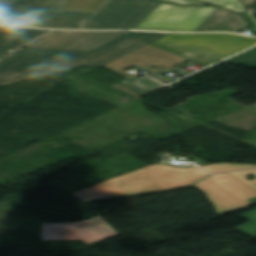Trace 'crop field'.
I'll use <instances>...</instances> for the list:
<instances>
[{"mask_svg":"<svg viewBox=\"0 0 256 256\" xmlns=\"http://www.w3.org/2000/svg\"><path fill=\"white\" fill-rule=\"evenodd\" d=\"M219 7L238 11L240 13L246 11V9L239 3L238 0H200Z\"/></svg>","mask_w":256,"mask_h":256,"instance_id":"d9b57169","label":"crop field"},{"mask_svg":"<svg viewBox=\"0 0 256 256\" xmlns=\"http://www.w3.org/2000/svg\"><path fill=\"white\" fill-rule=\"evenodd\" d=\"M73 0H46L12 25L57 29H134L161 2L107 0L95 13L64 11Z\"/></svg>","mask_w":256,"mask_h":256,"instance_id":"ac0d7876","label":"crop field"},{"mask_svg":"<svg viewBox=\"0 0 256 256\" xmlns=\"http://www.w3.org/2000/svg\"><path fill=\"white\" fill-rule=\"evenodd\" d=\"M240 217L247 219L251 222H249L237 229L256 237V210H253V211H251L247 214H244Z\"/></svg>","mask_w":256,"mask_h":256,"instance_id":"733c2abd","label":"crop field"},{"mask_svg":"<svg viewBox=\"0 0 256 256\" xmlns=\"http://www.w3.org/2000/svg\"><path fill=\"white\" fill-rule=\"evenodd\" d=\"M157 1H163V2L181 4V5H207L195 0H157Z\"/></svg>","mask_w":256,"mask_h":256,"instance_id":"214f88e0","label":"crop field"},{"mask_svg":"<svg viewBox=\"0 0 256 256\" xmlns=\"http://www.w3.org/2000/svg\"><path fill=\"white\" fill-rule=\"evenodd\" d=\"M249 26L248 20L240 14L217 8L196 31L239 32Z\"/></svg>","mask_w":256,"mask_h":256,"instance_id":"3316defc","label":"crop field"},{"mask_svg":"<svg viewBox=\"0 0 256 256\" xmlns=\"http://www.w3.org/2000/svg\"><path fill=\"white\" fill-rule=\"evenodd\" d=\"M171 71H174V72H176V73H178L182 76H185V75L191 73V72H189L185 69H182V68L176 66V67H173V68H169V69H166V70H163V71H160V72H156V73H152V74H148V75L166 84V83H169V82L164 80L166 78L163 77L162 75L165 74V73L171 72Z\"/></svg>","mask_w":256,"mask_h":256,"instance_id":"4a817a6b","label":"crop field"},{"mask_svg":"<svg viewBox=\"0 0 256 256\" xmlns=\"http://www.w3.org/2000/svg\"><path fill=\"white\" fill-rule=\"evenodd\" d=\"M231 175L235 176L239 180L243 181L247 185H249L251 188H253L256 191V179L252 181H248L246 179L247 175H255L256 176V169L255 170H249V171H243V172H236V173H230Z\"/></svg>","mask_w":256,"mask_h":256,"instance_id":"bc2a9ffb","label":"crop field"},{"mask_svg":"<svg viewBox=\"0 0 256 256\" xmlns=\"http://www.w3.org/2000/svg\"><path fill=\"white\" fill-rule=\"evenodd\" d=\"M124 33L126 32L54 31L25 47L90 51Z\"/></svg>","mask_w":256,"mask_h":256,"instance_id":"d8731c3e","label":"crop field"},{"mask_svg":"<svg viewBox=\"0 0 256 256\" xmlns=\"http://www.w3.org/2000/svg\"><path fill=\"white\" fill-rule=\"evenodd\" d=\"M251 201H253L254 203H256V198H254V199H251Z\"/></svg>","mask_w":256,"mask_h":256,"instance_id":"dafd665d","label":"crop field"},{"mask_svg":"<svg viewBox=\"0 0 256 256\" xmlns=\"http://www.w3.org/2000/svg\"><path fill=\"white\" fill-rule=\"evenodd\" d=\"M216 7H180L161 3L137 30L194 32Z\"/></svg>","mask_w":256,"mask_h":256,"instance_id":"f4fd0767","label":"crop field"},{"mask_svg":"<svg viewBox=\"0 0 256 256\" xmlns=\"http://www.w3.org/2000/svg\"><path fill=\"white\" fill-rule=\"evenodd\" d=\"M43 1L45 0H0V24L10 23Z\"/></svg>","mask_w":256,"mask_h":256,"instance_id":"28ad6ade","label":"crop field"},{"mask_svg":"<svg viewBox=\"0 0 256 256\" xmlns=\"http://www.w3.org/2000/svg\"><path fill=\"white\" fill-rule=\"evenodd\" d=\"M119 235L98 216L80 223H42L41 241L82 240L88 245Z\"/></svg>","mask_w":256,"mask_h":256,"instance_id":"e52e79f7","label":"crop field"},{"mask_svg":"<svg viewBox=\"0 0 256 256\" xmlns=\"http://www.w3.org/2000/svg\"><path fill=\"white\" fill-rule=\"evenodd\" d=\"M50 32L0 26V84L79 66H103L167 35L128 32L91 52L22 48Z\"/></svg>","mask_w":256,"mask_h":256,"instance_id":"8a807250","label":"crop field"},{"mask_svg":"<svg viewBox=\"0 0 256 256\" xmlns=\"http://www.w3.org/2000/svg\"><path fill=\"white\" fill-rule=\"evenodd\" d=\"M216 206L218 214L253 205L248 199L256 196V192L229 173L208 178L196 185Z\"/></svg>","mask_w":256,"mask_h":256,"instance_id":"dd49c442","label":"crop field"},{"mask_svg":"<svg viewBox=\"0 0 256 256\" xmlns=\"http://www.w3.org/2000/svg\"><path fill=\"white\" fill-rule=\"evenodd\" d=\"M222 63L241 66H256V47L248 51H245L231 59L223 61Z\"/></svg>","mask_w":256,"mask_h":256,"instance_id":"22f410ed","label":"crop field"},{"mask_svg":"<svg viewBox=\"0 0 256 256\" xmlns=\"http://www.w3.org/2000/svg\"><path fill=\"white\" fill-rule=\"evenodd\" d=\"M184 60L185 59L183 58L147 45L105 66L131 79L135 78V76L125 72L124 70L133 65L143 70L147 69L149 71L155 72L169 67H173ZM152 64L156 65L157 67L154 69L149 67Z\"/></svg>","mask_w":256,"mask_h":256,"instance_id":"5a996713","label":"crop field"},{"mask_svg":"<svg viewBox=\"0 0 256 256\" xmlns=\"http://www.w3.org/2000/svg\"><path fill=\"white\" fill-rule=\"evenodd\" d=\"M243 2V4L246 6V5H250L254 2H256L255 0H241Z\"/></svg>","mask_w":256,"mask_h":256,"instance_id":"92a150f3","label":"crop field"},{"mask_svg":"<svg viewBox=\"0 0 256 256\" xmlns=\"http://www.w3.org/2000/svg\"><path fill=\"white\" fill-rule=\"evenodd\" d=\"M254 44L255 38L211 33L171 34L151 45L207 67Z\"/></svg>","mask_w":256,"mask_h":256,"instance_id":"412701ff","label":"crop field"},{"mask_svg":"<svg viewBox=\"0 0 256 256\" xmlns=\"http://www.w3.org/2000/svg\"><path fill=\"white\" fill-rule=\"evenodd\" d=\"M122 83H124V84L144 93V94H147L155 89H158V88L164 86L163 84H161L147 76L128 80V81H125Z\"/></svg>","mask_w":256,"mask_h":256,"instance_id":"d1516ede","label":"crop field"},{"mask_svg":"<svg viewBox=\"0 0 256 256\" xmlns=\"http://www.w3.org/2000/svg\"><path fill=\"white\" fill-rule=\"evenodd\" d=\"M250 167H256V166L233 164V163H216V164H211V165L202 167V169L210 173H217V172H223V171H229V170H235V169H241V168H250Z\"/></svg>","mask_w":256,"mask_h":256,"instance_id":"5142ce71","label":"crop field"},{"mask_svg":"<svg viewBox=\"0 0 256 256\" xmlns=\"http://www.w3.org/2000/svg\"><path fill=\"white\" fill-rule=\"evenodd\" d=\"M106 0H74L66 10L95 12Z\"/></svg>","mask_w":256,"mask_h":256,"instance_id":"cbeb9de0","label":"crop field"},{"mask_svg":"<svg viewBox=\"0 0 256 256\" xmlns=\"http://www.w3.org/2000/svg\"><path fill=\"white\" fill-rule=\"evenodd\" d=\"M209 174L194 168L180 169L157 164L143 167L122 176L71 193L83 202H92L192 184Z\"/></svg>","mask_w":256,"mask_h":256,"instance_id":"34b2d1b8","label":"crop field"}]
</instances>
